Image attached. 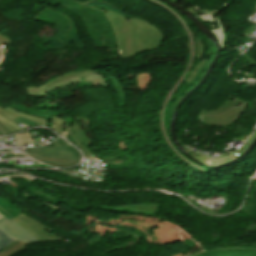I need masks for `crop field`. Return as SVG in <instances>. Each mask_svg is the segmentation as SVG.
<instances>
[{
  "instance_id": "obj_19",
  "label": "crop field",
  "mask_w": 256,
  "mask_h": 256,
  "mask_svg": "<svg viewBox=\"0 0 256 256\" xmlns=\"http://www.w3.org/2000/svg\"><path fill=\"white\" fill-rule=\"evenodd\" d=\"M20 141V143H19ZM32 142L31 138L17 139L16 145Z\"/></svg>"
},
{
  "instance_id": "obj_16",
  "label": "crop field",
  "mask_w": 256,
  "mask_h": 256,
  "mask_svg": "<svg viewBox=\"0 0 256 256\" xmlns=\"http://www.w3.org/2000/svg\"><path fill=\"white\" fill-rule=\"evenodd\" d=\"M205 60H202L199 64H197L193 70L191 71V73L188 75V77L186 78L185 82H190V80L193 78V76L196 74V72L198 71V69L201 67V65L204 63Z\"/></svg>"
},
{
  "instance_id": "obj_22",
  "label": "crop field",
  "mask_w": 256,
  "mask_h": 256,
  "mask_svg": "<svg viewBox=\"0 0 256 256\" xmlns=\"http://www.w3.org/2000/svg\"><path fill=\"white\" fill-rule=\"evenodd\" d=\"M0 135H3L1 131H0Z\"/></svg>"
},
{
  "instance_id": "obj_13",
  "label": "crop field",
  "mask_w": 256,
  "mask_h": 256,
  "mask_svg": "<svg viewBox=\"0 0 256 256\" xmlns=\"http://www.w3.org/2000/svg\"><path fill=\"white\" fill-rule=\"evenodd\" d=\"M205 45L202 43V41L198 38L195 41V58L201 59L203 53H204Z\"/></svg>"
},
{
  "instance_id": "obj_11",
  "label": "crop field",
  "mask_w": 256,
  "mask_h": 256,
  "mask_svg": "<svg viewBox=\"0 0 256 256\" xmlns=\"http://www.w3.org/2000/svg\"><path fill=\"white\" fill-rule=\"evenodd\" d=\"M4 109L7 110V111H9V112H12V113H14V114H16V115H18V116H20V117L27 118V119H31V120H33V121L39 123L40 125H46V124H47V121H45V120H43V119H41V118L29 116V115L23 114V113H21V112L15 111V110H13V109H10V108H8V107H5Z\"/></svg>"
},
{
  "instance_id": "obj_20",
  "label": "crop field",
  "mask_w": 256,
  "mask_h": 256,
  "mask_svg": "<svg viewBox=\"0 0 256 256\" xmlns=\"http://www.w3.org/2000/svg\"><path fill=\"white\" fill-rule=\"evenodd\" d=\"M4 216L2 214H0V219L3 218Z\"/></svg>"
},
{
  "instance_id": "obj_2",
  "label": "crop field",
  "mask_w": 256,
  "mask_h": 256,
  "mask_svg": "<svg viewBox=\"0 0 256 256\" xmlns=\"http://www.w3.org/2000/svg\"><path fill=\"white\" fill-rule=\"evenodd\" d=\"M81 80H91L93 82L99 83L104 87L108 88L106 81L99 74L93 71L79 69L67 75L51 80L42 86H38V87L27 86L25 87V89L29 96L49 97L45 94L47 91L54 88L62 87L67 84L75 83Z\"/></svg>"
},
{
  "instance_id": "obj_1",
  "label": "crop field",
  "mask_w": 256,
  "mask_h": 256,
  "mask_svg": "<svg viewBox=\"0 0 256 256\" xmlns=\"http://www.w3.org/2000/svg\"><path fill=\"white\" fill-rule=\"evenodd\" d=\"M105 13L116 31L120 57H135L139 52L157 49L165 40L163 32L154 24L135 17L126 21L109 11Z\"/></svg>"
},
{
  "instance_id": "obj_21",
  "label": "crop field",
  "mask_w": 256,
  "mask_h": 256,
  "mask_svg": "<svg viewBox=\"0 0 256 256\" xmlns=\"http://www.w3.org/2000/svg\"><path fill=\"white\" fill-rule=\"evenodd\" d=\"M172 1H174L176 3L178 0H172Z\"/></svg>"
},
{
  "instance_id": "obj_7",
  "label": "crop field",
  "mask_w": 256,
  "mask_h": 256,
  "mask_svg": "<svg viewBox=\"0 0 256 256\" xmlns=\"http://www.w3.org/2000/svg\"><path fill=\"white\" fill-rule=\"evenodd\" d=\"M67 132L70 135L73 142L77 145V147H79L81 150L84 151L86 157H89V155L87 153L88 151L86 152L83 145L90 144V143H92V141L90 140L89 137H87L84 134V132L82 131V129L80 128L78 123L76 122L74 124V126L70 130H68Z\"/></svg>"
},
{
  "instance_id": "obj_12",
  "label": "crop field",
  "mask_w": 256,
  "mask_h": 256,
  "mask_svg": "<svg viewBox=\"0 0 256 256\" xmlns=\"http://www.w3.org/2000/svg\"><path fill=\"white\" fill-rule=\"evenodd\" d=\"M218 23H219V29L216 30H212V32L214 33V35L217 37L219 44L221 46V48L224 47V32H223V26L220 22V20L218 18H216Z\"/></svg>"
},
{
  "instance_id": "obj_10",
  "label": "crop field",
  "mask_w": 256,
  "mask_h": 256,
  "mask_svg": "<svg viewBox=\"0 0 256 256\" xmlns=\"http://www.w3.org/2000/svg\"><path fill=\"white\" fill-rule=\"evenodd\" d=\"M0 115L4 116L5 118L9 119L10 121L15 120V121H18V122L23 123L25 125H28L30 127H34V126H38L39 125V124H37V123H35L33 121L17 117V116H15V115H13V114H11L9 112H6V111L2 110L1 108H0Z\"/></svg>"
},
{
  "instance_id": "obj_14",
  "label": "crop field",
  "mask_w": 256,
  "mask_h": 256,
  "mask_svg": "<svg viewBox=\"0 0 256 256\" xmlns=\"http://www.w3.org/2000/svg\"><path fill=\"white\" fill-rule=\"evenodd\" d=\"M13 241L15 240L11 239L8 235H6L3 231L0 230V250Z\"/></svg>"
},
{
  "instance_id": "obj_15",
  "label": "crop field",
  "mask_w": 256,
  "mask_h": 256,
  "mask_svg": "<svg viewBox=\"0 0 256 256\" xmlns=\"http://www.w3.org/2000/svg\"><path fill=\"white\" fill-rule=\"evenodd\" d=\"M52 122H54V123L50 128L56 130L57 132H59L61 134L63 131L61 130V128L59 126L62 125L65 121H63L55 116H52Z\"/></svg>"
},
{
  "instance_id": "obj_9",
  "label": "crop field",
  "mask_w": 256,
  "mask_h": 256,
  "mask_svg": "<svg viewBox=\"0 0 256 256\" xmlns=\"http://www.w3.org/2000/svg\"><path fill=\"white\" fill-rule=\"evenodd\" d=\"M26 248V243H22V242H14L10 245H8L6 248L2 249L0 251V256H12L13 254L22 251Z\"/></svg>"
},
{
  "instance_id": "obj_6",
  "label": "crop field",
  "mask_w": 256,
  "mask_h": 256,
  "mask_svg": "<svg viewBox=\"0 0 256 256\" xmlns=\"http://www.w3.org/2000/svg\"><path fill=\"white\" fill-rule=\"evenodd\" d=\"M0 228L13 238L29 242L38 241L22 227L6 217L0 220Z\"/></svg>"
},
{
  "instance_id": "obj_8",
  "label": "crop field",
  "mask_w": 256,
  "mask_h": 256,
  "mask_svg": "<svg viewBox=\"0 0 256 256\" xmlns=\"http://www.w3.org/2000/svg\"><path fill=\"white\" fill-rule=\"evenodd\" d=\"M243 103H245V102L237 99L234 96L229 95V97H228L227 101L225 102V104L222 107H220V109H222V110L218 109V110L211 111V112H206V110H203L200 113L199 116H202V115H215V114L224 113V112H226V111H228V110H230V109H232L234 107H238V106L242 105Z\"/></svg>"
},
{
  "instance_id": "obj_18",
  "label": "crop field",
  "mask_w": 256,
  "mask_h": 256,
  "mask_svg": "<svg viewBox=\"0 0 256 256\" xmlns=\"http://www.w3.org/2000/svg\"><path fill=\"white\" fill-rule=\"evenodd\" d=\"M12 43L7 37L0 34V45Z\"/></svg>"
},
{
  "instance_id": "obj_5",
  "label": "crop field",
  "mask_w": 256,
  "mask_h": 256,
  "mask_svg": "<svg viewBox=\"0 0 256 256\" xmlns=\"http://www.w3.org/2000/svg\"><path fill=\"white\" fill-rule=\"evenodd\" d=\"M245 105L233 109L220 116H203L199 120L210 126H228L232 124L240 116ZM213 121H215V123H213Z\"/></svg>"
},
{
  "instance_id": "obj_4",
  "label": "crop field",
  "mask_w": 256,
  "mask_h": 256,
  "mask_svg": "<svg viewBox=\"0 0 256 256\" xmlns=\"http://www.w3.org/2000/svg\"><path fill=\"white\" fill-rule=\"evenodd\" d=\"M163 203H146V204H125L116 206H99L98 208L114 209L117 211H129L132 213H143L157 216L161 212V206Z\"/></svg>"
},
{
  "instance_id": "obj_17",
  "label": "crop field",
  "mask_w": 256,
  "mask_h": 256,
  "mask_svg": "<svg viewBox=\"0 0 256 256\" xmlns=\"http://www.w3.org/2000/svg\"><path fill=\"white\" fill-rule=\"evenodd\" d=\"M204 22L210 21L212 23H215L214 17L211 14H206V15H198Z\"/></svg>"
},
{
  "instance_id": "obj_3",
  "label": "crop field",
  "mask_w": 256,
  "mask_h": 256,
  "mask_svg": "<svg viewBox=\"0 0 256 256\" xmlns=\"http://www.w3.org/2000/svg\"><path fill=\"white\" fill-rule=\"evenodd\" d=\"M19 225H21L26 231L32 236L37 238L39 241H51V240H63L46 231V227L39 222L21 214L13 219Z\"/></svg>"
}]
</instances>
